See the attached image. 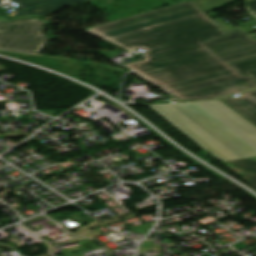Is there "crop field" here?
I'll use <instances>...</instances> for the list:
<instances>
[{"mask_svg": "<svg viewBox=\"0 0 256 256\" xmlns=\"http://www.w3.org/2000/svg\"><path fill=\"white\" fill-rule=\"evenodd\" d=\"M225 34L202 14L104 40L129 52L145 50L137 54L143 60L124 64L179 100H205L256 87L201 43Z\"/></svg>", "mask_w": 256, "mask_h": 256, "instance_id": "obj_1", "label": "crop field"}, {"mask_svg": "<svg viewBox=\"0 0 256 256\" xmlns=\"http://www.w3.org/2000/svg\"><path fill=\"white\" fill-rule=\"evenodd\" d=\"M148 106L220 162L256 156V128L219 101Z\"/></svg>", "mask_w": 256, "mask_h": 256, "instance_id": "obj_2", "label": "crop field"}, {"mask_svg": "<svg viewBox=\"0 0 256 256\" xmlns=\"http://www.w3.org/2000/svg\"><path fill=\"white\" fill-rule=\"evenodd\" d=\"M204 13L191 1L84 29L100 38L124 34Z\"/></svg>", "mask_w": 256, "mask_h": 256, "instance_id": "obj_3", "label": "crop field"}, {"mask_svg": "<svg viewBox=\"0 0 256 256\" xmlns=\"http://www.w3.org/2000/svg\"><path fill=\"white\" fill-rule=\"evenodd\" d=\"M45 24L36 19L0 22V29L37 35V37L4 32L0 35V49L39 54L49 39L43 37Z\"/></svg>", "mask_w": 256, "mask_h": 256, "instance_id": "obj_4", "label": "crop field"}, {"mask_svg": "<svg viewBox=\"0 0 256 256\" xmlns=\"http://www.w3.org/2000/svg\"><path fill=\"white\" fill-rule=\"evenodd\" d=\"M255 25V24H254ZM256 30L253 25L227 31L226 36L203 41L227 63L256 55V39L246 32Z\"/></svg>", "mask_w": 256, "mask_h": 256, "instance_id": "obj_5", "label": "crop field"}, {"mask_svg": "<svg viewBox=\"0 0 256 256\" xmlns=\"http://www.w3.org/2000/svg\"><path fill=\"white\" fill-rule=\"evenodd\" d=\"M22 6L11 11L10 16L36 14L43 17L58 11V8L86 0H14Z\"/></svg>", "mask_w": 256, "mask_h": 256, "instance_id": "obj_6", "label": "crop field"}, {"mask_svg": "<svg viewBox=\"0 0 256 256\" xmlns=\"http://www.w3.org/2000/svg\"><path fill=\"white\" fill-rule=\"evenodd\" d=\"M241 94L240 97L229 96L220 100L256 126V90Z\"/></svg>", "mask_w": 256, "mask_h": 256, "instance_id": "obj_7", "label": "crop field"}, {"mask_svg": "<svg viewBox=\"0 0 256 256\" xmlns=\"http://www.w3.org/2000/svg\"><path fill=\"white\" fill-rule=\"evenodd\" d=\"M256 189V160L249 158L222 163Z\"/></svg>", "mask_w": 256, "mask_h": 256, "instance_id": "obj_8", "label": "crop field"}, {"mask_svg": "<svg viewBox=\"0 0 256 256\" xmlns=\"http://www.w3.org/2000/svg\"><path fill=\"white\" fill-rule=\"evenodd\" d=\"M240 74L247 73L256 80V56L229 63Z\"/></svg>", "mask_w": 256, "mask_h": 256, "instance_id": "obj_9", "label": "crop field"}, {"mask_svg": "<svg viewBox=\"0 0 256 256\" xmlns=\"http://www.w3.org/2000/svg\"><path fill=\"white\" fill-rule=\"evenodd\" d=\"M244 6L256 16V0L246 2Z\"/></svg>", "mask_w": 256, "mask_h": 256, "instance_id": "obj_10", "label": "crop field"}, {"mask_svg": "<svg viewBox=\"0 0 256 256\" xmlns=\"http://www.w3.org/2000/svg\"><path fill=\"white\" fill-rule=\"evenodd\" d=\"M4 30H0V34H3Z\"/></svg>", "mask_w": 256, "mask_h": 256, "instance_id": "obj_11", "label": "crop field"}, {"mask_svg": "<svg viewBox=\"0 0 256 256\" xmlns=\"http://www.w3.org/2000/svg\"><path fill=\"white\" fill-rule=\"evenodd\" d=\"M252 159H256V157H251Z\"/></svg>", "mask_w": 256, "mask_h": 256, "instance_id": "obj_12", "label": "crop field"}]
</instances>
